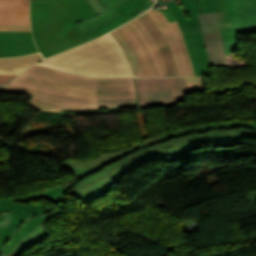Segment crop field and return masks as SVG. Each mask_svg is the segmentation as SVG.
Returning a JSON list of instances; mask_svg holds the SVG:
<instances>
[{"mask_svg":"<svg viewBox=\"0 0 256 256\" xmlns=\"http://www.w3.org/2000/svg\"><path fill=\"white\" fill-rule=\"evenodd\" d=\"M244 128L212 130L175 138L170 132L155 135L115 152L101 154L90 161L67 159L62 166L77 178L67 191L86 204L105 193L125 174L141 163L165 158L193 145L243 140ZM148 152V154H146ZM76 197V198H77Z\"/></svg>","mask_w":256,"mask_h":256,"instance_id":"crop-field-1","label":"crop field"},{"mask_svg":"<svg viewBox=\"0 0 256 256\" xmlns=\"http://www.w3.org/2000/svg\"><path fill=\"white\" fill-rule=\"evenodd\" d=\"M1 91L63 100L62 109H98L97 100L136 98L132 78H89L38 65L29 67Z\"/></svg>","mask_w":256,"mask_h":256,"instance_id":"crop-field-2","label":"crop field"},{"mask_svg":"<svg viewBox=\"0 0 256 256\" xmlns=\"http://www.w3.org/2000/svg\"><path fill=\"white\" fill-rule=\"evenodd\" d=\"M95 15L86 0H31L33 35L40 53L48 57L102 35L96 29L82 34L75 24Z\"/></svg>","mask_w":256,"mask_h":256,"instance_id":"crop-field-3","label":"crop field"},{"mask_svg":"<svg viewBox=\"0 0 256 256\" xmlns=\"http://www.w3.org/2000/svg\"><path fill=\"white\" fill-rule=\"evenodd\" d=\"M126 62L116 42L106 34L37 64L90 77H132Z\"/></svg>","mask_w":256,"mask_h":256,"instance_id":"crop-field-4","label":"crop field"},{"mask_svg":"<svg viewBox=\"0 0 256 256\" xmlns=\"http://www.w3.org/2000/svg\"><path fill=\"white\" fill-rule=\"evenodd\" d=\"M110 35L120 45L134 76H167L160 52L138 18L110 32Z\"/></svg>","mask_w":256,"mask_h":256,"instance_id":"crop-field-5","label":"crop field"},{"mask_svg":"<svg viewBox=\"0 0 256 256\" xmlns=\"http://www.w3.org/2000/svg\"><path fill=\"white\" fill-rule=\"evenodd\" d=\"M190 18H186L176 1L166 2L176 18L194 67L196 76L209 75V61L196 11L190 0H181Z\"/></svg>","mask_w":256,"mask_h":256,"instance_id":"crop-field-6","label":"crop field"},{"mask_svg":"<svg viewBox=\"0 0 256 256\" xmlns=\"http://www.w3.org/2000/svg\"><path fill=\"white\" fill-rule=\"evenodd\" d=\"M139 107L177 106L189 93L185 77L135 78Z\"/></svg>","mask_w":256,"mask_h":256,"instance_id":"crop-field-7","label":"crop field"},{"mask_svg":"<svg viewBox=\"0 0 256 256\" xmlns=\"http://www.w3.org/2000/svg\"><path fill=\"white\" fill-rule=\"evenodd\" d=\"M49 215H44L42 203L15 204L12 219L0 230V254L8 255L19 240L34 231Z\"/></svg>","mask_w":256,"mask_h":256,"instance_id":"crop-field-8","label":"crop field"},{"mask_svg":"<svg viewBox=\"0 0 256 256\" xmlns=\"http://www.w3.org/2000/svg\"><path fill=\"white\" fill-rule=\"evenodd\" d=\"M158 25L173 53L178 76H195L186 45L178 24L170 11L162 13L151 9L147 12Z\"/></svg>","mask_w":256,"mask_h":256,"instance_id":"crop-field-9","label":"crop field"},{"mask_svg":"<svg viewBox=\"0 0 256 256\" xmlns=\"http://www.w3.org/2000/svg\"><path fill=\"white\" fill-rule=\"evenodd\" d=\"M210 65H226L218 13L198 15Z\"/></svg>","mask_w":256,"mask_h":256,"instance_id":"crop-field-10","label":"crop field"},{"mask_svg":"<svg viewBox=\"0 0 256 256\" xmlns=\"http://www.w3.org/2000/svg\"><path fill=\"white\" fill-rule=\"evenodd\" d=\"M235 33H256V0H226Z\"/></svg>","mask_w":256,"mask_h":256,"instance_id":"crop-field-11","label":"crop field"},{"mask_svg":"<svg viewBox=\"0 0 256 256\" xmlns=\"http://www.w3.org/2000/svg\"><path fill=\"white\" fill-rule=\"evenodd\" d=\"M38 52L31 32H0V57H13Z\"/></svg>","mask_w":256,"mask_h":256,"instance_id":"crop-field-12","label":"crop field"},{"mask_svg":"<svg viewBox=\"0 0 256 256\" xmlns=\"http://www.w3.org/2000/svg\"><path fill=\"white\" fill-rule=\"evenodd\" d=\"M0 24L30 25L29 0H0Z\"/></svg>","mask_w":256,"mask_h":256,"instance_id":"crop-field-13","label":"crop field"},{"mask_svg":"<svg viewBox=\"0 0 256 256\" xmlns=\"http://www.w3.org/2000/svg\"><path fill=\"white\" fill-rule=\"evenodd\" d=\"M240 126L245 127L244 136L256 138V123L249 122V121H240V120L194 125V126L179 128L175 131L172 130L173 132H171V133L175 137H178L181 135L191 134V133H196V132H199V133L207 132L212 129H225V128L240 127Z\"/></svg>","mask_w":256,"mask_h":256,"instance_id":"crop-field-14","label":"crop field"},{"mask_svg":"<svg viewBox=\"0 0 256 256\" xmlns=\"http://www.w3.org/2000/svg\"><path fill=\"white\" fill-rule=\"evenodd\" d=\"M146 26L152 37L154 38L156 44L164 59L165 67L168 76H177L176 67L174 65L173 57L169 49V45L161 32L159 31L156 24L151 20L148 14L144 13L138 17Z\"/></svg>","mask_w":256,"mask_h":256,"instance_id":"crop-field-15","label":"crop field"},{"mask_svg":"<svg viewBox=\"0 0 256 256\" xmlns=\"http://www.w3.org/2000/svg\"><path fill=\"white\" fill-rule=\"evenodd\" d=\"M102 8L106 11L104 13L98 14V16L91 17L89 19H86L82 22H78L82 33L88 32L101 24L115 18L120 13L116 11L113 7L120 4L127 2L129 0H98Z\"/></svg>","mask_w":256,"mask_h":256,"instance_id":"crop-field-16","label":"crop field"},{"mask_svg":"<svg viewBox=\"0 0 256 256\" xmlns=\"http://www.w3.org/2000/svg\"><path fill=\"white\" fill-rule=\"evenodd\" d=\"M116 10H118L121 14L101 25L100 27L96 28L98 29L100 32H102L103 34L113 30L114 28L128 22L129 20L126 17H129L130 15L142 10L143 8H145V2L144 0H132L129 1L127 3L124 4H120L116 7H114Z\"/></svg>","mask_w":256,"mask_h":256,"instance_id":"crop-field-17","label":"crop field"},{"mask_svg":"<svg viewBox=\"0 0 256 256\" xmlns=\"http://www.w3.org/2000/svg\"><path fill=\"white\" fill-rule=\"evenodd\" d=\"M220 18V24L223 33L225 55L233 52L235 49L234 33L230 21V16L225 0H214Z\"/></svg>","mask_w":256,"mask_h":256,"instance_id":"crop-field-18","label":"crop field"},{"mask_svg":"<svg viewBox=\"0 0 256 256\" xmlns=\"http://www.w3.org/2000/svg\"><path fill=\"white\" fill-rule=\"evenodd\" d=\"M70 187L71 186L68 184L64 187L59 186V187L41 192L36 195L31 194L25 198L0 199V209L13 210L14 201H22L27 199L41 198V197H45L51 200L52 202L60 205L64 198L63 193L67 191Z\"/></svg>","mask_w":256,"mask_h":256,"instance_id":"crop-field-19","label":"crop field"},{"mask_svg":"<svg viewBox=\"0 0 256 256\" xmlns=\"http://www.w3.org/2000/svg\"><path fill=\"white\" fill-rule=\"evenodd\" d=\"M43 59L40 54L24 57L0 59V74H20L31 64Z\"/></svg>","mask_w":256,"mask_h":256,"instance_id":"crop-field-20","label":"crop field"},{"mask_svg":"<svg viewBox=\"0 0 256 256\" xmlns=\"http://www.w3.org/2000/svg\"><path fill=\"white\" fill-rule=\"evenodd\" d=\"M53 215L54 214H51L44 221L47 222ZM42 223L37 227V229L34 232L30 233L24 239L18 242L16 246L12 249L9 256H19L20 253L23 252L25 249L41 242L44 238H46L49 234H51L49 232L48 233L44 232V229L42 228ZM1 256H7V255L2 254Z\"/></svg>","mask_w":256,"mask_h":256,"instance_id":"crop-field-21","label":"crop field"},{"mask_svg":"<svg viewBox=\"0 0 256 256\" xmlns=\"http://www.w3.org/2000/svg\"><path fill=\"white\" fill-rule=\"evenodd\" d=\"M28 105L39 110L61 113L60 111L61 102L39 97V96L32 95Z\"/></svg>","mask_w":256,"mask_h":256,"instance_id":"crop-field-22","label":"crop field"},{"mask_svg":"<svg viewBox=\"0 0 256 256\" xmlns=\"http://www.w3.org/2000/svg\"><path fill=\"white\" fill-rule=\"evenodd\" d=\"M99 109L138 107L136 99L98 101Z\"/></svg>","mask_w":256,"mask_h":256,"instance_id":"crop-field-23","label":"crop field"},{"mask_svg":"<svg viewBox=\"0 0 256 256\" xmlns=\"http://www.w3.org/2000/svg\"><path fill=\"white\" fill-rule=\"evenodd\" d=\"M197 14L217 11L213 0H191Z\"/></svg>","mask_w":256,"mask_h":256,"instance_id":"crop-field-24","label":"crop field"},{"mask_svg":"<svg viewBox=\"0 0 256 256\" xmlns=\"http://www.w3.org/2000/svg\"><path fill=\"white\" fill-rule=\"evenodd\" d=\"M0 31H31L30 26L25 25H0Z\"/></svg>","mask_w":256,"mask_h":256,"instance_id":"crop-field-25","label":"crop field"},{"mask_svg":"<svg viewBox=\"0 0 256 256\" xmlns=\"http://www.w3.org/2000/svg\"><path fill=\"white\" fill-rule=\"evenodd\" d=\"M186 79H187V84H188L190 93L191 92L199 91V87H198V83H197V79L196 78H188V77H186Z\"/></svg>","mask_w":256,"mask_h":256,"instance_id":"crop-field-26","label":"crop field"},{"mask_svg":"<svg viewBox=\"0 0 256 256\" xmlns=\"http://www.w3.org/2000/svg\"><path fill=\"white\" fill-rule=\"evenodd\" d=\"M18 75H0V89Z\"/></svg>","mask_w":256,"mask_h":256,"instance_id":"crop-field-27","label":"crop field"},{"mask_svg":"<svg viewBox=\"0 0 256 256\" xmlns=\"http://www.w3.org/2000/svg\"><path fill=\"white\" fill-rule=\"evenodd\" d=\"M88 2L93 7V9L96 12V14H98L100 12H104V10L101 8V6L99 5L97 0H88Z\"/></svg>","mask_w":256,"mask_h":256,"instance_id":"crop-field-28","label":"crop field"},{"mask_svg":"<svg viewBox=\"0 0 256 256\" xmlns=\"http://www.w3.org/2000/svg\"><path fill=\"white\" fill-rule=\"evenodd\" d=\"M11 219V212L0 215V229Z\"/></svg>","mask_w":256,"mask_h":256,"instance_id":"crop-field-29","label":"crop field"},{"mask_svg":"<svg viewBox=\"0 0 256 256\" xmlns=\"http://www.w3.org/2000/svg\"><path fill=\"white\" fill-rule=\"evenodd\" d=\"M5 212H8V211H3V210H0V214H2V213H5Z\"/></svg>","mask_w":256,"mask_h":256,"instance_id":"crop-field-30","label":"crop field"}]
</instances>
